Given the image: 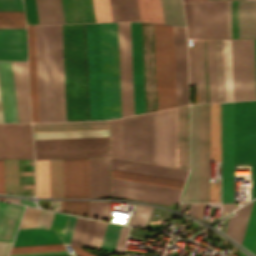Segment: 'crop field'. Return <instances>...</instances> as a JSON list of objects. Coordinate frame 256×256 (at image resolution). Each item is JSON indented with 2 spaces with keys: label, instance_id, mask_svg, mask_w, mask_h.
Instances as JSON below:
<instances>
[{
  "label": "crop field",
  "instance_id": "25e5ab78",
  "mask_svg": "<svg viewBox=\"0 0 256 256\" xmlns=\"http://www.w3.org/2000/svg\"><path fill=\"white\" fill-rule=\"evenodd\" d=\"M90 217L110 221V202L90 201Z\"/></svg>",
  "mask_w": 256,
  "mask_h": 256
},
{
  "label": "crop field",
  "instance_id": "1f2cbd36",
  "mask_svg": "<svg viewBox=\"0 0 256 256\" xmlns=\"http://www.w3.org/2000/svg\"><path fill=\"white\" fill-rule=\"evenodd\" d=\"M152 209V207L139 205L134 216L130 218L129 224L145 227Z\"/></svg>",
  "mask_w": 256,
  "mask_h": 256
},
{
  "label": "crop field",
  "instance_id": "730fd06b",
  "mask_svg": "<svg viewBox=\"0 0 256 256\" xmlns=\"http://www.w3.org/2000/svg\"><path fill=\"white\" fill-rule=\"evenodd\" d=\"M0 60H27L26 29H0Z\"/></svg>",
  "mask_w": 256,
  "mask_h": 256
},
{
  "label": "crop field",
  "instance_id": "d1516ede",
  "mask_svg": "<svg viewBox=\"0 0 256 256\" xmlns=\"http://www.w3.org/2000/svg\"><path fill=\"white\" fill-rule=\"evenodd\" d=\"M238 164H251V199L256 196V100L238 102Z\"/></svg>",
  "mask_w": 256,
  "mask_h": 256
},
{
  "label": "crop field",
  "instance_id": "f47e1a6f",
  "mask_svg": "<svg viewBox=\"0 0 256 256\" xmlns=\"http://www.w3.org/2000/svg\"><path fill=\"white\" fill-rule=\"evenodd\" d=\"M50 256H69V254H62V255H50Z\"/></svg>",
  "mask_w": 256,
  "mask_h": 256
},
{
  "label": "crop field",
  "instance_id": "5866460e",
  "mask_svg": "<svg viewBox=\"0 0 256 256\" xmlns=\"http://www.w3.org/2000/svg\"><path fill=\"white\" fill-rule=\"evenodd\" d=\"M33 132L109 129V121L32 124Z\"/></svg>",
  "mask_w": 256,
  "mask_h": 256
},
{
  "label": "crop field",
  "instance_id": "7b73153f",
  "mask_svg": "<svg viewBox=\"0 0 256 256\" xmlns=\"http://www.w3.org/2000/svg\"><path fill=\"white\" fill-rule=\"evenodd\" d=\"M128 229L129 228H127V227H123V226L120 227V231H119V235H118V239H117V243H116L114 252L119 253V254L123 253Z\"/></svg>",
  "mask_w": 256,
  "mask_h": 256
},
{
  "label": "crop field",
  "instance_id": "bec16c9f",
  "mask_svg": "<svg viewBox=\"0 0 256 256\" xmlns=\"http://www.w3.org/2000/svg\"><path fill=\"white\" fill-rule=\"evenodd\" d=\"M0 199H3V200H5V198H0Z\"/></svg>",
  "mask_w": 256,
  "mask_h": 256
},
{
  "label": "crop field",
  "instance_id": "b80d0937",
  "mask_svg": "<svg viewBox=\"0 0 256 256\" xmlns=\"http://www.w3.org/2000/svg\"><path fill=\"white\" fill-rule=\"evenodd\" d=\"M113 21H140L137 0H110Z\"/></svg>",
  "mask_w": 256,
  "mask_h": 256
},
{
  "label": "crop field",
  "instance_id": "4a817a6b",
  "mask_svg": "<svg viewBox=\"0 0 256 256\" xmlns=\"http://www.w3.org/2000/svg\"><path fill=\"white\" fill-rule=\"evenodd\" d=\"M217 102L233 101L230 39H214Z\"/></svg>",
  "mask_w": 256,
  "mask_h": 256
},
{
  "label": "crop field",
  "instance_id": "3620e2b9",
  "mask_svg": "<svg viewBox=\"0 0 256 256\" xmlns=\"http://www.w3.org/2000/svg\"><path fill=\"white\" fill-rule=\"evenodd\" d=\"M189 1H198V0H189Z\"/></svg>",
  "mask_w": 256,
  "mask_h": 256
},
{
  "label": "crop field",
  "instance_id": "c21b1889",
  "mask_svg": "<svg viewBox=\"0 0 256 256\" xmlns=\"http://www.w3.org/2000/svg\"><path fill=\"white\" fill-rule=\"evenodd\" d=\"M50 197L63 198L62 160H49Z\"/></svg>",
  "mask_w": 256,
  "mask_h": 256
},
{
  "label": "crop field",
  "instance_id": "d23c7cc5",
  "mask_svg": "<svg viewBox=\"0 0 256 256\" xmlns=\"http://www.w3.org/2000/svg\"><path fill=\"white\" fill-rule=\"evenodd\" d=\"M242 245L254 252L256 245V200L253 202Z\"/></svg>",
  "mask_w": 256,
  "mask_h": 256
},
{
  "label": "crop field",
  "instance_id": "d8731c3e",
  "mask_svg": "<svg viewBox=\"0 0 256 256\" xmlns=\"http://www.w3.org/2000/svg\"><path fill=\"white\" fill-rule=\"evenodd\" d=\"M234 101L256 99L254 40L231 39Z\"/></svg>",
  "mask_w": 256,
  "mask_h": 256
},
{
  "label": "crop field",
  "instance_id": "28ad6ade",
  "mask_svg": "<svg viewBox=\"0 0 256 256\" xmlns=\"http://www.w3.org/2000/svg\"><path fill=\"white\" fill-rule=\"evenodd\" d=\"M90 120L103 119L99 23L85 24Z\"/></svg>",
  "mask_w": 256,
  "mask_h": 256
},
{
  "label": "crop field",
  "instance_id": "425ffa30",
  "mask_svg": "<svg viewBox=\"0 0 256 256\" xmlns=\"http://www.w3.org/2000/svg\"><path fill=\"white\" fill-rule=\"evenodd\" d=\"M119 227L117 225L112 224H106L104 236L101 243V249L108 250V251H114Z\"/></svg>",
  "mask_w": 256,
  "mask_h": 256
},
{
  "label": "crop field",
  "instance_id": "92a150f3",
  "mask_svg": "<svg viewBox=\"0 0 256 256\" xmlns=\"http://www.w3.org/2000/svg\"><path fill=\"white\" fill-rule=\"evenodd\" d=\"M64 198L89 197L88 159L63 160Z\"/></svg>",
  "mask_w": 256,
  "mask_h": 256
},
{
  "label": "crop field",
  "instance_id": "dd49c442",
  "mask_svg": "<svg viewBox=\"0 0 256 256\" xmlns=\"http://www.w3.org/2000/svg\"><path fill=\"white\" fill-rule=\"evenodd\" d=\"M188 49L190 84H196L197 103L216 102L213 39H193Z\"/></svg>",
  "mask_w": 256,
  "mask_h": 256
},
{
  "label": "crop field",
  "instance_id": "e1d0b9f6",
  "mask_svg": "<svg viewBox=\"0 0 256 256\" xmlns=\"http://www.w3.org/2000/svg\"><path fill=\"white\" fill-rule=\"evenodd\" d=\"M188 38H192L191 3H184Z\"/></svg>",
  "mask_w": 256,
  "mask_h": 256
},
{
  "label": "crop field",
  "instance_id": "750c4746",
  "mask_svg": "<svg viewBox=\"0 0 256 256\" xmlns=\"http://www.w3.org/2000/svg\"><path fill=\"white\" fill-rule=\"evenodd\" d=\"M19 122H30L27 62H12Z\"/></svg>",
  "mask_w": 256,
  "mask_h": 256
},
{
  "label": "crop field",
  "instance_id": "ae633e8c",
  "mask_svg": "<svg viewBox=\"0 0 256 256\" xmlns=\"http://www.w3.org/2000/svg\"><path fill=\"white\" fill-rule=\"evenodd\" d=\"M76 219L75 217H69V221H68V224H67V228H66V232H65V235H64V243H70V239H71V236H72V233H73V229H74V226H75V223H76Z\"/></svg>",
  "mask_w": 256,
  "mask_h": 256
},
{
  "label": "crop field",
  "instance_id": "d14b1444",
  "mask_svg": "<svg viewBox=\"0 0 256 256\" xmlns=\"http://www.w3.org/2000/svg\"><path fill=\"white\" fill-rule=\"evenodd\" d=\"M210 202H220L219 186H210Z\"/></svg>",
  "mask_w": 256,
  "mask_h": 256
},
{
  "label": "crop field",
  "instance_id": "3316defc",
  "mask_svg": "<svg viewBox=\"0 0 256 256\" xmlns=\"http://www.w3.org/2000/svg\"><path fill=\"white\" fill-rule=\"evenodd\" d=\"M234 209V102L222 103V215Z\"/></svg>",
  "mask_w": 256,
  "mask_h": 256
},
{
  "label": "crop field",
  "instance_id": "f0312440",
  "mask_svg": "<svg viewBox=\"0 0 256 256\" xmlns=\"http://www.w3.org/2000/svg\"><path fill=\"white\" fill-rule=\"evenodd\" d=\"M204 206H205V204H201V205H200V209H199V213H198V217H197L198 219H201V218H202Z\"/></svg>",
  "mask_w": 256,
  "mask_h": 256
},
{
  "label": "crop field",
  "instance_id": "e1f06a70",
  "mask_svg": "<svg viewBox=\"0 0 256 256\" xmlns=\"http://www.w3.org/2000/svg\"><path fill=\"white\" fill-rule=\"evenodd\" d=\"M178 167L188 169V106L178 108Z\"/></svg>",
  "mask_w": 256,
  "mask_h": 256
},
{
  "label": "crop field",
  "instance_id": "920284fa",
  "mask_svg": "<svg viewBox=\"0 0 256 256\" xmlns=\"http://www.w3.org/2000/svg\"><path fill=\"white\" fill-rule=\"evenodd\" d=\"M199 205H200V204H198V205H197V209H196L195 216H194L195 218L197 217V213H198Z\"/></svg>",
  "mask_w": 256,
  "mask_h": 256
},
{
  "label": "crop field",
  "instance_id": "a0ae1fb6",
  "mask_svg": "<svg viewBox=\"0 0 256 256\" xmlns=\"http://www.w3.org/2000/svg\"><path fill=\"white\" fill-rule=\"evenodd\" d=\"M0 122H3V119H2V111H1V103H0Z\"/></svg>",
  "mask_w": 256,
  "mask_h": 256
},
{
  "label": "crop field",
  "instance_id": "bc2a9ffb",
  "mask_svg": "<svg viewBox=\"0 0 256 256\" xmlns=\"http://www.w3.org/2000/svg\"><path fill=\"white\" fill-rule=\"evenodd\" d=\"M165 24L185 26L181 0H161ZM160 0H138L141 21L164 24Z\"/></svg>",
  "mask_w": 256,
  "mask_h": 256
},
{
  "label": "crop field",
  "instance_id": "89e229c0",
  "mask_svg": "<svg viewBox=\"0 0 256 256\" xmlns=\"http://www.w3.org/2000/svg\"><path fill=\"white\" fill-rule=\"evenodd\" d=\"M97 22L112 21L109 0H94Z\"/></svg>",
  "mask_w": 256,
  "mask_h": 256
},
{
  "label": "crop field",
  "instance_id": "03da06ac",
  "mask_svg": "<svg viewBox=\"0 0 256 256\" xmlns=\"http://www.w3.org/2000/svg\"><path fill=\"white\" fill-rule=\"evenodd\" d=\"M36 197H49L48 160L35 161Z\"/></svg>",
  "mask_w": 256,
  "mask_h": 256
},
{
  "label": "crop field",
  "instance_id": "1d79db26",
  "mask_svg": "<svg viewBox=\"0 0 256 256\" xmlns=\"http://www.w3.org/2000/svg\"><path fill=\"white\" fill-rule=\"evenodd\" d=\"M41 210L26 208L19 228L35 227Z\"/></svg>",
  "mask_w": 256,
  "mask_h": 256
},
{
  "label": "crop field",
  "instance_id": "0fb4a251",
  "mask_svg": "<svg viewBox=\"0 0 256 256\" xmlns=\"http://www.w3.org/2000/svg\"><path fill=\"white\" fill-rule=\"evenodd\" d=\"M0 25H25L23 12H0Z\"/></svg>",
  "mask_w": 256,
  "mask_h": 256
},
{
  "label": "crop field",
  "instance_id": "4177f3b9",
  "mask_svg": "<svg viewBox=\"0 0 256 256\" xmlns=\"http://www.w3.org/2000/svg\"><path fill=\"white\" fill-rule=\"evenodd\" d=\"M135 114L144 112L140 22H131Z\"/></svg>",
  "mask_w": 256,
  "mask_h": 256
},
{
  "label": "crop field",
  "instance_id": "cbeb9de0",
  "mask_svg": "<svg viewBox=\"0 0 256 256\" xmlns=\"http://www.w3.org/2000/svg\"><path fill=\"white\" fill-rule=\"evenodd\" d=\"M182 189L113 178L111 177V193L121 194L127 196L141 197L147 199L161 200L167 202H179V195ZM114 197L127 198L133 200L147 201L153 203H160L169 205L167 202H160L154 200L140 199L134 197L114 195Z\"/></svg>",
  "mask_w": 256,
  "mask_h": 256
},
{
  "label": "crop field",
  "instance_id": "d9b57169",
  "mask_svg": "<svg viewBox=\"0 0 256 256\" xmlns=\"http://www.w3.org/2000/svg\"><path fill=\"white\" fill-rule=\"evenodd\" d=\"M122 117L134 114L130 22L118 23Z\"/></svg>",
  "mask_w": 256,
  "mask_h": 256
},
{
  "label": "crop field",
  "instance_id": "d32e631a",
  "mask_svg": "<svg viewBox=\"0 0 256 256\" xmlns=\"http://www.w3.org/2000/svg\"><path fill=\"white\" fill-rule=\"evenodd\" d=\"M32 122H38L34 25L27 26Z\"/></svg>",
  "mask_w": 256,
  "mask_h": 256
},
{
  "label": "crop field",
  "instance_id": "fb207236",
  "mask_svg": "<svg viewBox=\"0 0 256 256\" xmlns=\"http://www.w3.org/2000/svg\"><path fill=\"white\" fill-rule=\"evenodd\" d=\"M62 253H67V251L31 253V254H17V255H10V256H38V255H50V254H62Z\"/></svg>",
  "mask_w": 256,
  "mask_h": 256
},
{
  "label": "crop field",
  "instance_id": "5d738f31",
  "mask_svg": "<svg viewBox=\"0 0 256 256\" xmlns=\"http://www.w3.org/2000/svg\"><path fill=\"white\" fill-rule=\"evenodd\" d=\"M111 176L132 179V180H138V181H144V182H150V183H156V184H162V185H168V186H174V187H180V188L183 187V183H184L181 181H175V180H169V179H163V178H157V177H151V176H144V175L114 171V170H111Z\"/></svg>",
  "mask_w": 256,
  "mask_h": 256
},
{
  "label": "crop field",
  "instance_id": "c035e120",
  "mask_svg": "<svg viewBox=\"0 0 256 256\" xmlns=\"http://www.w3.org/2000/svg\"><path fill=\"white\" fill-rule=\"evenodd\" d=\"M252 202L235 211L236 215L229 218L225 233L239 243H242Z\"/></svg>",
  "mask_w": 256,
  "mask_h": 256
},
{
  "label": "crop field",
  "instance_id": "ac0d7876",
  "mask_svg": "<svg viewBox=\"0 0 256 256\" xmlns=\"http://www.w3.org/2000/svg\"><path fill=\"white\" fill-rule=\"evenodd\" d=\"M110 156L122 158V118L110 120ZM123 158L152 163V113L123 118Z\"/></svg>",
  "mask_w": 256,
  "mask_h": 256
},
{
  "label": "crop field",
  "instance_id": "412701ff",
  "mask_svg": "<svg viewBox=\"0 0 256 256\" xmlns=\"http://www.w3.org/2000/svg\"><path fill=\"white\" fill-rule=\"evenodd\" d=\"M39 122L55 121L51 25H35Z\"/></svg>",
  "mask_w": 256,
  "mask_h": 256
},
{
  "label": "crop field",
  "instance_id": "c5b07064",
  "mask_svg": "<svg viewBox=\"0 0 256 256\" xmlns=\"http://www.w3.org/2000/svg\"><path fill=\"white\" fill-rule=\"evenodd\" d=\"M235 163L237 164V102H235Z\"/></svg>",
  "mask_w": 256,
  "mask_h": 256
},
{
  "label": "crop field",
  "instance_id": "819c52e7",
  "mask_svg": "<svg viewBox=\"0 0 256 256\" xmlns=\"http://www.w3.org/2000/svg\"><path fill=\"white\" fill-rule=\"evenodd\" d=\"M0 28H25V26H0Z\"/></svg>",
  "mask_w": 256,
  "mask_h": 256
},
{
  "label": "crop field",
  "instance_id": "c821d689",
  "mask_svg": "<svg viewBox=\"0 0 256 256\" xmlns=\"http://www.w3.org/2000/svg\"><path fill=\"white\" fill-rule=\"evenodd\" d=\"M6 200L19 203V199H8V198H6Z\"/></svg>",
  "mask_w": 256,
  "mask_h": 256
},
{
  "label": "crop field",
  "instance_id": "8de936bc",
  "mask_svg": "<svg viewBox=\"0 0 256 256\" xmlns=\"http://www.w3.org/2000/svg\"><path fill=\"white\" fill-rule=\"evenodd\" d=\"M186 204H181L180 211L183 212Z\"/></svg>",
  "mask_w": 256,
  "mask_h": 256
},
{
  "label": "crop field",
  "instance_id": "1d83c4d3",
  "mask_svg": "<svg viewBox=\"0 0 256 256\" xmlns=\"http://www.w3.org/2000/svg\"><path fill=\"white\" fill-rule=\"evenodd\" d=\"M22 208L23 207L21 206L0 202V241H7V242L11 241V238L13 236ZM24 208H23V211H24ZM22 213H21V216H22ZM21 216H20V219H21Z\"/></svg>",
  "mask_w": 256,
  "mask_h": 256
},
{
  "label": "crop field",
  "instance_id": "eef30255",
  "mask_svg": "<svg viewBox=\"0 0 256 256\" xmlns=\"http://www.w3.org/2000/svg\"><path fill=\"white\" fill-rule=\"evenodd\" d=\"M111 169L184 181L188 171L113 159Z\"/></svg>",
  "mask_w": 256,
  "mask_h": 256
},
{
  "label": "crop field",
  "instance_id": "447ae74e",
  "mask_svg": "<svg viewBox=\"0 0 256 256\" xmlns=\"http://www.w3.org/2000/svg\"><path fill=\"white\" fill-rule=\"evenodd\" d=\"M27 24H38L34 0H24Z\"/></svg>",
  "mask_w": 256,
  "mask_h": 256
},
{
  "label": "crop field",
  "instance_id": "5a996713",
  "mask_svg": "<svg viewBox=\"0 0 256 256\" xmlns=\"http://www.w3.org/2000/svg\"><path fill=\"white\" fill-rule=\"evenodd\" d=\"M153 163L177 167V108L153 113Z\"/></svg>",
  "mask_w": 256,
  "mask_h": 256
},
{
  "label": "crop field",
  "instance_id": "ae1a2a85",
  "mask_svg": "<svg viewBox=\"0 0 256 256\" xmlns=\"http://www.w3.org/2000/svg\"><path fill=\"white\" fill-rule=\"evenodd\" d=\"M109 158L89 159L90 197H110Z\"/></svg>",
  "mask_w": 256,
  "mask_h": 256
},
{
  "label": "crop field",
  "instance_id": "22f410ed",
  "mask_svg": "<svg viewBox=\"0 0 256 256\" xmlns=\"http://www.w3.org/2000/svg\"><path fill=\"white\" fill-rule=\"evenodd\" d=\"M193 38H226L225 1L192 3Z\"/></svg>",
  "mask_w": 256,
  "mask_h": 256
},
{
  "label": "crop field",
  "instance_id": "1f1604b0",
  "mask_svg": "<svg viewBox=\"0 0 256 256\" xmlns=\"http://www.w3.org/2000/svg\"><path fill=\"white\" fill-rule=\"evenodd\" d=\"M20 203L35 206V204H34L32 201H30V200H23V199H20Z\"/></svg>",
  "mask_w": 256,
  "mask_h": 256
},
{
  "label": "crop field",
  "instance_id": "a9b5d70f",
  "mask_svg": "<svg viewBox=\"0 0 256 256\" xmlns=\"http://www.w3.org/2000/svg\"><path fill=\"white\" fill-rule=\"evenodd\" d=\"M200 202H209V104L200 105Z\"/></svg>",
  "mask_w": 256,
  "mask_h": 256
},
{
  "label": "crop field",
  "instance_id": "214f88e0",
  "mask_svg": "<svg viewBox=\"0 0 256 256\" xmlns=\"http://www.w3.org/2000/svg\"><path fill=\"white\" fill-rule=\"evenodd\" d=\"M181 202H199V105H191V171Z\"/></svg>",
  "mask_w": 256,
  "mask_h": 256
},
{
  "label": "crop field",
  "instance_id": "60d6c31b",
  "mask_svg": "<svg viewBox=\"0 0 256 256\" xmlns=\"http://www.w3.org/2000/svg\"><path fill=\"white\" fill-rule=\"evenodd\" d=\"M254 254H256V248H255V252H254Z\"/></svg>",
  "mask_w": 256,
  "mask_h": 256
},
{
  "label": "crop field",
  "instance_id": "733c2abd",
  "mask_svg": "<svg viewBox=\"0 0 256 256\" xmlns=\"http://www.w3.org/2000/svg\"><path fill=\"white\" fill-rule=\"evenodd\" d=\"M145 112L157 110L153 24L141 22Z\"/></svg>",
  "mask_w": 256,
  "mask_h": 256
},
{
  "label": "crop field",
  "instance_id": "d3111659",
  "mask_svg": "<svg viewBox=\"0 0 256 256\" xmlns=\"http://www.w3.org/2000/svg\"><path fill=\"white\" fill-rule=\"evenodd\" d=\"M11 122H18L11 62H4ZM3 62H0V95L4 122H10Z\"/></svg>",
  "mask_w": 256,
  "mask_h": 256
},
{
  "label": "crop field",
  "instance_id": "b54c1fbb",
  "mask_svg": "<svg viewBox=\"0 0 256 256\" xmlns=\"http://www.w3.org/2000/svg\"><path fill=\"white\" fill-rule=\"evenodd\" d=\"M34 139L109 136V130L33 133Z\"/></svg>",
  "mask_w": 256,
  "mask_h": 256
},
{
  "label": "crop field",
  "instance_id": "bd1437ed",
  "mask_svg": "<svg viewBox=\"0 0 256 256\" xmlns=\"http://www.w3.org/2000/svg\"><path fill=\"white\" fill-rule=\"evenodd\" d=\"M64 23L96 22L93 0H61Z\"/></svg>",
  "mask_w": 256,
  "mask_h": 256
},
{
  "label": "crop field",
  "instance_id": "f4fd0767",
  "mask_svg": "<svg viewBox=\"0 0 256 256\" xmlns=\"http://www.w3.org/2000/svg\"><path fill=\"white\" fill-rule=\"evenodd\" d=\"M158 110L175 106L172 26L154 24Z\"/></svg>",
  "mask_w": 256,
  "mask_h": 256
},
{
  "label": "crop field",
  "instance_id": "dafd665d",
  "mask_svg": "<svg viewBox=\"0 0 256 256\" xmlns=\"http://www.w3.org/2000/svg\"><path fill=\"white\" fill-rule=\"evenodd\" d=\"M176 106L188 104L185 28L173 26Z\"/></svg>",
  "mask_w": 256,
  "mask_h": 256
},
{
  "label": "crop field",
  "instance_id": "34b2d1b8",
  "mask_svg": "<svg viewBox=\"0 0 256 256\" xmlns=\"http://www.w3.org/2000/svg\"><path fill=\"white\" fill-rule=\"evenodd\" d=\"M104 119L121 117L117 23H100Z\"/></svg>",
  "mask_w": 256,
  "mask_h": 256
},
{
  "label": "crop field",
  "instance_id": "c3a83c6f",
  "mask_svg": "<svg viewBox=\"0 0 256 256\" xmlns=\"http://www.w3.org/2000/svg\"><path fill=\"white\" fill-rule=\"evenodd\" d=\"M73 250L79 255V256H95L89 252H87L86 250L82 249L81 247L79 246H73V245H70Z\"/></svg>",
  "mask_w": 256,
  "mask_h": 256
},
{
  "label": "crop field",
  "instance_id": "5edd877f",
  "mask_svg": "<svg viewBox=\"0 0 256 256\" xmlns=\"http://www.w3.org/2000/svg\"><path fill=\"white\" fill-rule=\"evenodd\" d=\"M255 54H256V40H255Z\"/></svg>",
  "mask_w": 256,
  "mask_h": 256
},
{
  "label": "crop field",
  "instance_id": "9d1cf04e",
  "mask_svg": "<svg viewBox=\"0 0 256 256\" xmlns=\"http://www.w3.org/2000/svg\"><path fill=\"white\" fill-rule=\"evenodd\" d=\"M67 215H62V214H53V218L50 224V228L52 230H56L59 236L63 239V235L65 232L66 224L68 221Z\"/></svg>",
  "mask_w": 256,
  "mask_h": 256
},
{
  "label": "crop field",
  "instance_id": "c39391a2",
  "mask_svg": "<svg viewBox=\"0 0 256 256\" xmlns=\"http://www.w3.org/2000/svg\"><path fill=\"white\" fill-rule=\"evenodd\" d=\"M0 193L5 194L4 160H0Z\"/></svg>",
  "mask_w": 256,
  "mask_h": 256
},
{
  "label": "crop field",
  "instance_id": "0765c3eb",
  "mask_svg": "<svg viewBox=\"0 0 256 256\" xmlns=\"http://www.w3.org/2000/svg\"><path fill=\"white\" fill-rule=\"evenodd\" d=\"M0 11H23L21 0H0Z\"/></svg>",
  "mask_w": 256,
  "mask_h": 256
},
{
  "label": "crop field",
  "instance_id": "5142ce71",
  "mask_svg": "<svg viewBox=\"0 0 256 256\" xmlns=\"http://www.w3.org/2000/svg\"><path fill=\"white\" fill-rule=\"evenodd\" d=\"M0 159H33L30 124H0Z\"/></svg>",
  "mask_w": 256,
  "mask_h": 256
},
{
  "label": "crop field",
  "instance_id": "120bbe31",
  "mask_svg": "<svg viewBox=\"0 0 256 256\" xmlns=\"http://www.w3.org/2000/svg\"><path fill=\"white\" fill-rule=\"evenodd\" d=\"M239 38H256V1H238Z\"/></svg>",
  "mask_w": 256,
  "mask_h": 256
},
{
  "label": "crop field",
  "instance_id": "8a807250",
  "mask_svg": "<svg viewBox=\"0 0 256 256\" xmlns=\"http://www.w3.org/2000/svg\"><path fill=\"white\" fill-rule=\"evenodd\" d=\"M67 121L88 120L83 24H62Z\"/></svg>",
  "mask_w": 256,
  "mask_h": 256
},
{
  "label": "crop field",
  "instance_id": "999ad59e",
  "mask_svg": "<svg viewBox=\"0 0 256 256\" xmlns=\"http://www.w3.org/2000/svg\"><path fill=\"white\" fill-rule=\"evenodd\" d=\"M186 1H188V0H183V2H186Z\"/></svg>",
  "mask_w": 256,
  "mask_h": 256
},
{
  "label": "crop field",
  "instance_id": "ade564c9",
  "mask_svg": "<svg viewBox=\"0 0 256 256\" xmlns=\"http://www.w3.org/2000/svg\"><path fill=\"white\" fill-rule=\"evenodd\" d=\"M227 38H231L230 1H226Z\"/></svg>",
  "mask_w": 256,
  "mask_h": 256
},
{
  "label": "crop field",
  "instance_id": "7312dd0a",
  "mask_svg": "<svg viewBox=\"0 0 256 256\" xmlns=\"http://www.w3.org/2000/svg\"><path fill=\"white\" fill-rule=\"evenodd\" d=\"M11 244L0 243V256H7Z\"/></svg>",
  "mask_w": 256,
  "mask_h": 256
},
{
  "label": "crop field",
  "instance_id": "0bd39190",
  "mask_svg": "<svg viewBox=\"0 0 256 256\" xmlns=\"http://www.w3.org/2000/svg\"><path fill=\"white\" fill-rule=\"evenodd\" d=\"M39 24L63 23L60 0H35Z\"/></svg>",
  "mask_w": 256,
  "mask_h": 256
},
{
  "label": "crop field",
  "instance_id": "0f1d7ab4",
  "mask_svg": "<svg viewBox=\"0 0 256 256\" xmlns=\"http://www.w3.org/2000/svg\"><path fill=\"white\" fill-rule=\"evenodd\" d=\"M52 214L53 213L51 212L42 210L36 227H43L48 229L52 218Z\"/></svg>",
  "mask_w": 256,
  "mask_h": 256
},
{
  "label": "crop field",
  "instance_id": "028f5c9d",
  "mask_svg": "<svg viewBox=\"0 0 256 256\" xmlns=\"http://www.w3.org/2000/svg\"><path fill=\"white\" fill-rule=\"evenodd\" d=\"M210 159H221V103L210 104Z\"/></svg>",
  "mask_w": 256,
  "mask_h": 256
},
{
  "label": "crop field",
  "instance_id": "73cf0c24",
  "mask_svg": "<svg viewBox=\"0 0 256 256\" xmlns=\"http://www.w3.org/2000/svg\"><path fill=\"white\" fill-rule=\"evenodd\" d=\"M65 250L63 244L12 247L10 254Z\"/></svg>",
  "mask_w": 256,
  "mask_h": 256
},
{
  "label": "crop field",
  "instance_id": "78b8030e",
  "mask_svg": "<svg viewBox=\"0 0 256 256\" xmlns=\"http://www.w3.org/2000/svg\"><path fill=\"white\" fill-rule=\"evenodd\" d=\"M232 38H238L237 1H231Z\"/></svg>",
  "mask_w": 256,
  "mask_h": 256
},
{
  "label": "crop field",
  "instance_id": "dbb93151",
  "mask_svg": "<svg viewBox=\"0 0 256 256\" xmlns=\"http://www.w3.org/2000/svg\"><path fill=\"white\" fill-rule=\"evenodd\" d=\"M64 212L89 217V201H64Z\"/></svg>",
  "mask_w": 256,
  "mask_h": 256
},
{
  "label": "crop field",
  "instance_id": "180be81f",
  "mask_svg": "<svg viewBox=\"0 0 256 256\" xmlns=\"http://www.w3.org/2000/svg\"><path fill=\"white\" fill-rule=\"evenodd\" d=\"M196 205L197 204H191L190 205V209H189V215H191V216H194V212H195V209H196Z\"/></svg>",
  "mask_w": 256,
  "mask_h": 256
},
{
  "label": "crop field",
  "instance_id": "00972430",
  "mask_svg": "<svg viewBox=\"0 0 256 256\" xmlns=\"http://www.w3.org/2000/svg\"><path fill=\"white\" fill-rule=\"evenodd\" d=\"M56 121H66L61 24L52 25Z\"/></svg>",
  "mask_w": 256,
  "mask_h": 256
},
{
  "label": "crop field",
  "instance_id": "db79e9e6",
  "mask_svg": "<svg viewBox=\"0 0 256 256\" xmlns=\"http://www.w3.org/2000/svg\"><path fill=\"white\" fill-rule=\"evenodd\" d=\"M105 224L106 223L99 222V221L96 222V226H95V230H94V234H93L90 246L98 247V248L100 247Z\"/></svg>",
  "mask_w": 256,
  "mask_h": 256
},
{
  "label": "crop field",
  "instance_id": "e52e79f7",
  "mask_svg": "<svg viewBox=\"0 0 256 256\" xmlns=\"http://www.w3.org/2000/svg\"><path fill=\"white\" fill-rule=\"evenodd\" d=\"M35 159L109 156V137L34 140Z\"/></svg>",
  "mask_w": 256,
  "mask_h": 256
}]
</instances>
